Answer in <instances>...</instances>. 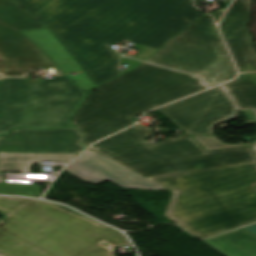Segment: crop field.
Here are the masks:
<instances>
[{
	"label": "crop field",
	"instance_id": "obj_27",
	"mask_svg": "<svg viewBox=\"0 0 256 256\" xmlns=\"http://www.w3.org/2000/svg\"><path fill=\"white\" fill-rule=\"evenodd\" d=\"M252 147H253V149H254V151H255V153H256V141H255V143L253 144ZM252 147H251V148H252Z\"/></svg>",
	"mask_w": 256,
	"mask_h": 256
},
{
	"label": "crop field",
	"instance_id": "obj_3",
	"mask_svg": "<svg viewBox=\"0 0 256 256\" xmlns=\"http://www.w3.org/2000/svg\"><path fill=\"white\" fill-rule=\"evenodd\" d=\"M160 184L173 194L164 216L199 238L256 221V161L184 172Z\"/></svg>",
	"mask_w": 256,
	"mask_h": 256
},
{
	"label": "crop field",
	"instance_id": "obj_12",
	"mask_svg": "<svg viewBox=\"0 0 256 256\" xmlns=\"http://www.w3.org/2000/svg\"><path fill=\"white\" fill-rule=\"evenodd\" d=\"M65 170L95 184L108 180L120 187L167 190L91 149Z\"/></svg>",
	"mask_w": 256,
	"mask_h": 256
},
{
	"label": "crop field",
	"instance_id": "obj_11",
	"mask_svg": "<svg viewBox=\"0 0 256 256\" xmlns=\"http://www.w3.org/2000/svg\"><path fill=\"white\" fill-rule=\"evenodd\" d=\"M83 135L75 128L17 129L0 137V152L81 154L86 148Z\"/></svg>",
	"mask_w": 256,
	"mask_h": 256
},
{
	"label": "crop field",
	"instance_id": "obj_2",
	"mask_svg": "<svg viewBox=\"0 0 256 256\" xmlns=\"http://www.w3.org/2000/svg\"><path fill=\"white\" fill-rule=\"evenodd\" d=\"M0 253L6 256H113L120 233L51 203L0 198ZM109 244L104 246L100 243Z\"/></svg>",
	"mask_w": 256,
	"mask_h": 256
},
{
	"label": "crop field",
	"instance_id": "obj_21",
	"mask_svg": "<svg viewBox=\"0 0 256 256\" xmlns=\"http://www.w3.org/2000/svg\"><path fill=\"white\" fill-rule=\"evenodd\" d=\"M78 155H61V154H41L37 163H40L41 160L47 161H58V162H69L71 159Z\"/></svg>",
	"mask_w": 256,
	"mask_h": 256
},
{
	"label": "crop field",
	"instance_id": "obj_18",
	"mask_svg": "<svg viewBox=\"0 0 256 256\" xmlns=\"http://www.w3.org/2000/svg\"><path fill=\"white\" fill-rule=\"evenodd\" d=\"M40 154L0 153V172L30 173Z\"/></svg>",
	"mask_w": 256,
	"mask_h": 256
},
{
	"label": "crop field",
	"instance_id": "obj_29",
	"mask_svg": "<svg viewBox=\"0 0 256 256\" xmlns=\"http://www.w3.org/2000/svg\"><path fill=\"white\" fill-rule=\"evenodd\" d=\"M219 1H225V2H229V0H219Z\"/></svg>",
	"mask_w": 256,
	"mask_h": 256
},
{
	"label": "crop field",
	"instance_id": "obj_6",
	"mask_svg": "<svg viewBox=\"0 0 256 256\" xmlns=\"http://www.w3.org/2000/svg\"><path fill=\"white\" fill-rule=\"evenodd\" d=\"M146 62L196 74L210 87L236 76L209 15L193 22Z\"/></svg>",
	"mask_w": 256,
	"mask_h": 256
},
{
	"label": "crop field",
	"instance_id": "obj_26",
	"mask_svg": "<svg viewBox=\"0 0 256 256\" xmlns=\"http://www.w3.org/2000/svg\"><path fill=\"white\" fill-rule=\"evenodd\" d=\"M0 183H5L4 178H3V175H2V174H0Z\"/></svg>",
	"mask_w": 256,
	"mask_h": 256
},
{
	"label": "crop field",
	"instance_id": "obj_25",
	"mask_svg": "<svg viewBox=\"0 0 256 256\" xmlns=\"http://www.w3.org/2000/svg\"><path fill=\"white\" fill-rule=\"evenodd\" d=\"M245 229L249 230L250 232L256 234V224L244 227Z\"/></svg>",
	"mask_w": 256,
	"mask_h": 256
},
{
	"label": "crop field",
	"instance_id": "obj_10",
	"mask_svg": "<svg viewBox=\"0 0 256 256\" xmlns=\"http://www.w3.org/2000/svg\"><path fill=\"white\" fill-rule=\"evenodd\" d=\"M157 110L190 136H213L215 125L238 114L221 86Z\"/></svg>",
	"mask_w": 256,
	"mask_h": 256
},
{
	"label": "crop field",
	"instance_id": "obj_17",
	"mask_svg": "<svg viewBox=\"0 0 256 256\" xmlns=\"http://www.w3.org/2000/svg\"><path fill=\"white\" fill-rule=\"evenodd\" d=\"M223 86L240 109L256 108V73L243 74L237 81Z\"/></svg>",
	"mask_w": 256,
	"mask_h": 256
},
{
	"label": "crop field",
	"instance_id": "obj_5",
	"mask_svg": "<svg viewBox=\"0 0 256 256\" xmlns=\"http://www.w3.org/2000/svg\"><path fill=\"white\" fill-rule=\"evenodd\" d=\"M41 81L0 79V135L20 126H71L69 119L82 102L83 91L68 77Z\"/></svg>",
	"mask_w": 256,
	"mask_h": 256
},
{
	"label": "crop field",
	"instance_id": "obj_15",
	"mask_svg": "<svg viewBox=\"0 0 256 256\" xmlns=\"http://www.w3.org/2000/svg\"><path fill=\"white\" fill-rule=\"evenodd\" d=\"M228 256H256V237L242 229L205 239Z\"/></svg>",
	"mask_w": 256,
	"mask_h": 256
},
{
	"label": "crop field",
	"instance_id": "obj_16",
	"mask_svg": "<svg viewBox=\"0 0 256 256\" xmlns=\"http://www.w3.org/2000/svg\"><path fill=\"white\" fill-rule=\"evenodd\" d=\"M23 33L30 37L65 73L82 70L49 29Z\"/></svg>",
	"mask_w": 256,
	"mask_h": 256
},
{
	"label": "crop field",
	"instance_id": "obj_19",
	"mask_svg": "<svg viewBox=\"0 0 256 256\" xmlns=\"http://www.w3.org/2000/svg\"><path fill=\"white\" fill-rule=\"evenodd\" d=\"M0 194L41 197L42 193L36 185L28 184H0Z\"/></svg>",
	"mask_w": 256,
	"mask_h": 256
},
{
	"label": "crop field",
	"instance_id": "obj_30",
	"mask_svg": "<svg viewBox=\"0 0 256 256\" xmlns=\"http://www.w3.org/2000/svg\"><path fill=\"white\" fill-rule=\"evenodd\" d=\"M0 256H3V255L0 254Z\"/></svg>",
	"mask_w": 256,
	"mask_h": 256
},
{
	"label": "crop field",
	"instance_id": "obj_28",
	"mask_svg": "<svg viewBox=\"0 0 256 256\" xmlns=\"http://www.w3.org/2000/svg\"><path fill=\"white\" fill-rule=\"evenodd\" d=\"M254 115L256 116V109H252Z\"/></svg>",
	"mask_w": 256,
	"mask_h": 256
},
{
	"label": "crop field",
	"instance_id": "obj_23",
	"mask_svg": "<svg viewBox=\"0 0 256 256\" xmlns=\"http://www.w3.org/2000/svg\"><path fill=\"white\" fill-rule=\"evenodd\" d=\"M182 177H184V176L181 173H176V174H172V175L161 176V177H153V178H149V179H151L154 182L159 184V183H162V182H166V181H170V180H174V179H178V178H182ZM189 182L192 183L191 181H189ZM192 184L195 185L194 183H192Z\"/></svg>",
	"mask_w": 256,
	"mask_h": 256
},
{
	"label": "crop field",
	"instance_id": "obj_4",
	"mask_svg": "<svg viewBox=\"0 0 256 256\" xmlns=\"http://www.w3.org/2000/svg\"><path fill=\"white\" fill-rule=\"evenodd\" d=\"M150 136L135 125L91 149L146 177L256 160L250 148L207 153L186 133L153 145L143 141Z\"/></svg>",
	"mask_w": 256,
	"mask_h": 256
},
{
	"label": "crop field",
	"instance_id": "obj_14",
	"mask_svg": "<svg viewBox=\"0 0 256 256\" xmlns=\"http://www.w3.org/2000/svg\"><path fill=\"white\" fill-rule=\"evenodd\" d=\"M16 1L47 25H75L107 0Z\"/></svg>",
	"mask_w": 256,
	"mask_h": 256
},
{
	"label": "crop field",
	"instance_id": "obj_20",
	"mask_svg": "<svg viewBox=\"0 0 256 256\" xmlns=\"http://www.w3.org/2000/svg\"><path fill=\"white\" fill-rule=\"evenodd\" d=\"M192 138H194L198 143H200L207 150L248 146V144L228 145L214 137H192Z\"/></svg>",
	"mask_w": 256,
	"mask_h": 256
},
{
	"label": "crop field",
	"instance_id": "obj_13",
	"mask_svg": "<svg viewBox=\"0 0 256 256\" xmlns=\"http://www.w3.org/2000/svg\"><path fill=\"white\" fill-rule=\"evenodd\" d=\"M251 8V0H235L220 26L240 73L256 72V49L247 28Z\"/></svg>",
	"mask_w": 256,
	"mask_h": 256
},
{
	"label": "crop field",
	"instance_id": "obj_9",
	"mask_svg": "<svg viewBox=\"0 0 256 256\" xmlns=\"http://www.w3.org/2000/svg\"><path fill=\"white\" fill-rule=\"evenodd\" d=\"M101 92L135 90L157 106L205 89L197 77L143 63L135 70L99 86Z\"/></svg>",
	"mask_w": 256,
	"mask_h": 256
},
{
	"label": "crop field",
	"instance_id": "obj_7",
	"mask_svg": "<svg viewBox=\"0 0 256 256\" xmlns=\"http://www.w3.org/2000/svg\"><path fill=\"white\" fill-rule=\"evenodd\" d=\"M156 107L135 91L87 94L72 123L90 143L134 123L129 118ZM116 133V132H115Z\"/></svg>",
	"mask_w": 256,
	"mask_h": 256
},
{
	"label": "crop field",
	"instance_id": "obj_31",
	"mask_svg": "<svg viewBox=\"0 0 256 256\" xmlns=\"http://www.w3.org/2000/svg\"><path fill=\"white\" fill-rule=\"evenodd\" d=\"M255 119H256V117H255Z\"/></svg>",
	"mask_w": 256,
	"mask_h": 256
},
{
	"label": "crop field",
	"instance_id": "obj_8",
	"mask_svg": "<svg viewBox=\"0 0 256 256\" xmlns=\"http://www.w3.org/2000/svg\"><path fill=\"white\" fill-rule=\"evenodd\" d=\"M45 27L11 0H0V76H22L34 67L62 73L21 29Z\"/></svg>",
	"mask_w": 256,
	"mask_h": 256
},
{
	"label": "crop field",
	"instance_id": "obj_1",
	"mask_svg": "<svg viewBox=\"0 0 256 256\" xmlns=\"http://www.w3.org/2000/svg\"><path fill=\"white\" fill-rule=\"evenodd\" d=\"M202 15L191 0H109L75 26L49 29L97 85L118 76L110 45L128 39L159 49Z\"/></svg>",
	"mask_w": 256,
	"mask_h": 256
},
{
	"label": "crop field",
	"instance_id": "obj_22",
	"mask_svg": "<svg viewBox=\"0 0 256 256\" xmlns=\"http://www.w3.org/2000/svg\"><path fill=\"white\" fill-rule=\"evenodd\" d=\"M68 76L84 90H87L94 86V84L84 72L76 76H71L70 74H68Z\"/></svg>",
	"mask_w": 256,
	"mask_h": 256
},
{
	"label": "crop field",
	"instance_id": "obj_24",
	"mask_svg": "<svg viewBox=\"0 0 256 256\" xmlns=\"http://www.w3.org/2000/svg\"><path fill=\"white\" fill-rule=\"evenodd\" d=\"M224 9H225V8H224ZM224 9L219 10V11H216V12H214V13H211V14L214 16L216 22H218V20H219L220 16L222 15Z\"/></svg>",
	"mask_w": 256,
	"mask_h": 256
}]
</instances>
